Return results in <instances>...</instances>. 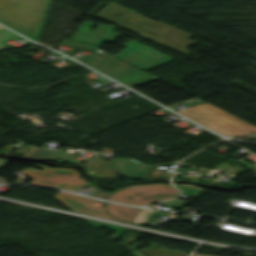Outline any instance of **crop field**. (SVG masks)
<instances>
[{
	"label": "crop field",
	"mask_w": 256,
	"mask_h": 256,
	"mask_svg": "<svg viewBox=\"0 0 256 256\" xmlns=\"http://www.w3.org/2000/svg\"><path fill=\"white\" fill-rule=\"evenodd\" d=\"M97 23L84 21L71 39L102 46L105 41L115 42L120 33L114 30L115 26L98 24L96 29L90 32V28Z\"/></svg>",
	"instance_id": "e52e79f7"
},
{
	"label": "crop field",
	"mask_w": 256,
	"mask_h": 256,
	"mask_svg": "<svg viewBox=\"0 0 256 256\" xmlns=\"http://www.w3.org/2000/svg\"><path fill=\"white\" fill-rule=\"evenodd\" d=\"M55 198L58 201H60L62 204H64L66 207H68L70 210H72L73 212L86 213V214L122 222L105 213L104 207L90 204L93 201V199H89V198H85V197H81L73 194L63 193V192L58 193L55 196Z\"/></svg>",
	"instance_id": "d8731c3e"
},
{
	"label": "crop field",
	"mask_w": 256,
	"mask_h": 256,
	"mask_svg": "<svg viewBox=\"0 0 256 256\" xmlns=\"http://www.w3.org/2000/svg\"><path fill=\"white\" fill-rule=\"evenodd\" d=\"M108 195H109V193L103 192V191H101L100 193L93 194V196H99V197H102V196L107 197Z\"/></svg>",
	"instance_id": "cbeb9de0"
},
{
	"label": "crop field",
	"mask_w": 256,
	"mask_h": 256,
	"mask_svg": "<svg viewBox=\"0 0 256 256\" xmlns=\"http://www.w3.org/2000/svg\"><path fill=\"white\" fill-rule=\"evenodd\" d=\"M14 36H17V35L8 31V30H6V29H1L0 30V41L11 38V37H14ZM6 48H8V47H6L3 43L0 42V51L4 50Z\"/></svg>",
	"instance_id": "22f410ed"
},
{
	"label": "crop field",
	"mask_w": 256,
	"mask_h": 256,
	"mask_svg": "<svg viewBox=\"0 0 256 256\" xmlns=\"http://www.w3.org/2000/svg\"><path fill=\"white\" fill-rule=\"evenodd\" d=\"M85 220L96 228L103 226V227L109 229L111 232H113L114 234L109 237L111 240L117 239L122 234V232L126 229L125 227L107 224V223H103V222H98V221H94V220H89V219H85Z\"/></svg>",
	"instance_id": "28ad6ade"
},
{
	"label": "crop field",
	"mask_w": 256,
	"mask_h": 256,
	"mask_svg": "<svg viewBox=\"0 0 256 256\" xmlns=\"http://www.w3.org/2000/svg\"><path fill=\"white\" fill-rule=\"evenodd\" d=\"M177 112L227 137L256 130V127L208 103Z\"/></svg>",
	"instance_id": "34b2d1b8"
},
{
	"label": "crop field",
	"mask_w": 256,
	"mask_h": 256,
	"mask_svg": "<svg viewBox=\"0 0 256 256\" xmlns=\"http://www.w3.org/2000/svg\"><path fill=\"white\" fill-rule=\"evenodd\" d=\"M130 253H132L134 256H145L141 252H139L138 250L131 251Z\"/></svg>",
	"instance_id": "5142ce71"
},
{
	"label": "crop field",
	"mask_w": 256,
	"mask_h": 256,
	"mask_svg": "<svg viewBox=\"0 0 256 256\" xmlns=\"http://www.w3.org/2000/svg\"><path fill=\"white\" fill-rule=\"evenodd\" d=\"M49 0H0V23L38 41Z\"/></svg>",
	"instance_id": "8a807250"
},
{
	"label": "crop field",
	"mask_w": 256,
	"mask_h": 256,
	"mask_svg": "<svg viewBox=\"0 0 256 256\" xmlns=\"http://www.w3.org/2000/svg\"><path fill=\"white\" fill-rule=\"evenodd\" d=\"M1 28H3V27L0 26V29H1Z\"/></svg>",
	"instance_id": "733c2abd"
},
{
	"label": "crop field",
	"mask_w": 256,
	"mask_h": 256,
	"mask_svg": "<svg viewBox=\"0 0 256 256\" xmlns=\"http://www.w3.org/2000/svg\"><path fill=\"white\" fill-rule=\"evenodd\" d=\"M122 46H125L127 48L114 56L140 69H146L161 65L174 59L158 50L141 44L133 39L124 43Z\"/></svg>",
	"instance_id": "f4fd0767"
},
{
	"label": "crop field",
	"mask_w": 256,
	"mask_h": 256,
	"mask_svg": "<svg viewBox=\"0 0 256 256\" xmlns=\"http://www.w3.org/2000/svg\"><path fill=\"white\" fill-rule=\"evenodd\" d=\"M151 165L143 164L129 158L114 157L103 168L117 169V174H123L131 180L143 179L151 169Z\"/></svg>",
	"instance_id": "5a996713"
},
{
	"label": "crop field",
	"mask_w": 256,
	"mask_h": 256,
	"mask_svg": "<svg viewBox=\"0 0 256 256\" xmlns=\"http://www.w3.org/2000/svg\"><path fill=\"white\" fill-rule=\"evenodd\" d=\"M192 256H206V255L193 254Z\"/></svg>",
	"instance_id": "d9b57169"
},
{
	"label": "crop field",
	"mask_w": 256,
	"mask_h": 256,
	"mask_svg": "<svg viewBox=\"0 0 256 256\" xmlns=\"http://www.w3.org/2000/svg\"><path fill=\"white\" fill-rule=\"evenodd\" d=\"M106 207L108 214L124 221L127 224H130L142 210L140 208L125 207L109 203H106Z\"/></svg>",
	"instance_id": "3316defc"
},
{
	"label": "crop field",
	"mask_w": 256,
	"mask_h": 256,
	"mask_svg": "<svg viewBox=\"0 0 256 256\" xmlns=\"http://www.w3.org/2000/svg\"><path fill=\"white\" fill-rule=\"evenodd\" d=\"M35 166L43 169L42 171L34 168H27L21 173L27 174L28 178L33 179L29 184H42L57 187L65 182L80 177V174L71 168H51L38 163Z\"/></svg>",
	"instance_id": "dd49c442"
},
{
	"label": "crop field",
	"mask_w": 256,
	"mask_h": 256,
	"mask_svg": "<svg viewBox=\"0 0 256 256\" xmlns=\"http://www.w3.org/2000/svg\"><path fill=\"white\" fill-rule=\"evenodd\" d=\"M85 184H88V182H86L82 177H80V178H77L73 181H70V182L60 186L59 188H64V189L71 190L75 187H79V186H82V185H85Z\"/></svg>",
	"instance_id": "d1516ede"
},
{
	"label": "crop field",
	"mask_w": 256,
	"mask_h": 256,
	"mask_svg": "<svg viewBox=\"0 0 256 256\" xmlns=\"http://www.w3.org/2000/svg\"><path fill=\"white\" fill-rule=\"evenodd\" d=\"M179 195V191L167 183L132 185L110 195L108 199L127 204L144 205Z\"/></svg>",
	"instance_id": "412701ff"
},
{
	"label": "crop field",
	"mask_w": 256,
	"mask_h": 256,
	"mask_svg": "<svg viewBox=\"0 0 256 256\" xmlns=\"http://www.w3.org/2000/svg\"><path fill=\"white\" fill-rule=\"evenodd\" d=\"M61 43L94 52L85 62L87 65L130 87L159 80L146 72L98 50L100 48L99 46L66 39H62Z\"/></svg>",
	"instance_id": "ac0d7876"
}]
</instances>
